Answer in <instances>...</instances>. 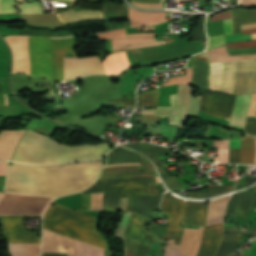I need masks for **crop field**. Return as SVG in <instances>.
I'll use <instances>...</instances> for the list:
<instances>
[{
	"label": "crop field",
	"instance_id": "obj_55",
	"mask_svg": "<svg viewBox=\"0 0 256 256\" xmlns=\"http://www.w3.org/2000/svg\"><path fill=\"white\" fill-rule=\"evenodd\" d=\"M242 234H223L222 240H241Z\"/></svg>",
	"mask_w": 256,
	"mask_h": 256
},
{
	"label": "crop field",
	"instance_id": "obj_60",
	"mask_svg": "<svg viewBox=\"0 0 256 256\" xmlns=\"http://www.w3.org/2000/svg\"><path fill=\"white\" fill-rule=\"evenodd\" d=\"M225 34L233 33L231 19L224 20Z\"/></svg>",
	"mask_w": 256,
	"mask_h": 256
},
{
	"label": "crop field",
	"instance_id": "obj_27",
	"mask_svg": "<svg viewBox=\"0 0 256 256\" xmlns=\"http://www.w3.org/2000/svg\"><path fill=\"white\" fill-rule=\"evenodd\" d=\"M238 9L240 13V17L238 18H236L233 10L230 9V12L233 16L232 22H233L234 33L241 32L240 25L256 23V10L240 9V8Z\"/></svg>",
	"mask_w": 256,
	"mask_h": 256
},
{
	"label": "crop field",
	"instance_id": "obj_67",
	"mask_svg": "<svg viewBox=\"0 0 256 256\" xmlns=\"http://www.w3.org/2000/svg\"><path fill=\"white\" fill-rule=\"evenodd\" d=\"M124 165H141L140 163H129V164H116V165H106L104 168L111 166H124Z\"/></svg>",
	"mask_w": 256,
	"mask_h": 256
},
{
	"label": "crop field",
	"instance_id": "obj_50",
	"mask_svg": "<svg viewBox=\"0 0 256 256\" xmlns=\"http://www.w3.org/2000/svg\"><path fill=\"white\" fill-rule=\"evenodd\" d=\"M140 161L142 162L144 172H156L153 164H151L147 159L139 156Z\"/></svg>",
	"mask_w": 256,
	"mask_h": 256
},
{
	"label": "crop field",
	"instance_id": "obj_2",
	"mask_svg": "<svg viewBox=\"0 0 256 256\" xmlns=\"http://www.w3.org/2000/svg\"><path fill=\"white\" fill-rule=\"evenodd\" d=\"M103 165L63 169L61 164L9 166L6 191L62 196L84 190Z\"/></svg>",
	"mask_w": 256,
	"mask_h": 256
},
{
	"label": "crop field",
	"instance_id": "obj_62",
	"mask_svg": "<svg viewBox=\"0 0 256 256\" xmlns=\"http://www.w3.org/2000/svg\"><path fill=\"white\" fill-rule=\"evenodd\" d=\"M155 36L154 33L127 34V38Z\"/></svg>",
	"mask_w": 256,
	"mask_h": 256
},
{
	"label": "crop field",
	"instance_id": "obj_76",
	"mask_svg": "<svg viewBox=\"0 0 256 256\" xmlns=\"http://www.w3.org/2000/svg\"><path fill=\"white\" fill-rule=\"evenodd\" d=\"M181 1H187V0H179V2H181Z\"/></svg>",
	"mask_w": 256,
	"mask_h": 256
},
{
	"label": "crop field",
	"instance_id": "obj_5",
	"mask_svg": "<svg viewBox=\"0 0 256 256\" xmlns=\"http://www.w3.org/2000/svg\"><path fill=\"white\" fill-rule=\"evenodd\" d=\"M210 88L235 94L256 91V60L212 65Z\"/></svg>",
	"mask_w": 256,
	"mask_h": 256
},
{
	"label": "crop field",
	"instance_id": "obj_53",
	"mask_svg": "<svg viewBox=\"0 0 256 256\" xmlns=\"http://www.w3.org/2000/svg\"><path fill=\"white\" fill-rule=\"evenodd\" d=\"M256 113V93L252 94V101L247 116H255Z\"/></svg>",
	"mask_w": 256,
	"mask_h": 256
},
{
	"label": "crop field",
	"instance_id": "obj_29",
	"mask_svg": "<svg viewBox=\"0 0 256 256\" xmlns=\"http://www.w3.org/2000/svg\"><path fill=\"white\" fill-rule=\"evenodd\" d=\"M40 244H9L11 256H39Z\"/></svg>",
	"mask_w": 256,
	"mask_h": 256
},
{
	"label": "crop field",
	"instance_id": "obj_69",
	"mask_svg": "<svg viewBox=\"0 0 256 256\" xmlns=\"http://www.w3.org/2000/svg\"><path fill=\"white\" fill-rule=\"evenodd\" d=\"M230 55H238V54H256V52H238V53H229Z\"/></svg>",
	"mask_w": 256,
	"mask_h": 256
},
{
	"label": "crop field",
	"instance_id": "obj_54",
	"mask_svg": "<svg viewBox=\"0 0 256 256\" xmlns=\"http://www.w3.org/2000/svg\"><path fill=\"white\" fill-rule=\"evenodd\" d=\"M7 101H6L5 93H4V90H3L2 82L0 81V106H8L9 102H8V105H7Z\"/></svg>",
	"mask_w": 256,
	"mask_h": 256
},
{
	"label": "crop field",
	"instance_id": "obj_65",
	"mask_svg": "<svg viewBox=\"0 0 256 256\" xmlns=\"http://www.w3.org/2000/svg\"><path fill=\"white\" fill-rule=\"evenodd\" d=\"M6 161L0 160V175H5Z\"/></svg>",
	"mask_w": 256,
	"mask_h": 256
},
{
	"label": "crop field",
	"instance_id": "obj_52",
	"mask_svg": "<svg viewBox=\"0 0 256 256\" xmlns=\"http://www.w3.org/2000/svg\"><path fill=\"white\" fill-rule=\"evenodd\" d=\"M168 83H161V86L173 85V84H185V77L173 79V77L167 78Z\"/></svg>",
	"mask_w": 256,
	"mask_h": 256
},
{
	"label": "crop field",
	"instance_id": "obj_20",
	"mask_svg": "<svg viewBox=\"0 0 256 256\" xmlns=\"http://www.w3.org/2000/svg\"><path fill=\"white\" fill-rule=\"evenodd\" d=\"M102 65L105 74H117L130 66L124 51L108 55L102 61Z\"/></svg>",
	"mask_w": 256,
	"mask_h": 256
},
{
	"label": "crop field",
	"instance_id": "obj_68",
	"mask_svg": "<svg viewBox=\"0 0 256 256\" xmlns=\"http://www.w3.org/2000/svg\"><path fill=\"white\" fill-rule=\"evenodd\" d=\"M5 176H0V191H3Z\"/></svg>",
	"mask_w": 256,
	"mask_h": 256
},
{
	"label": "crop field",
	"instance_id": "obj_58",
	"mask_svg": "<svg viewBox=\"0 0 256 256\" xmlns=\"http://www.w3.org/2000/svg\"><path fill=\"white\" fill-rule=\"evenodd\" d=\"M183 229H184V226H182L181 223H180V225L178 227V230H177V234H176L174 244L180 245V240H181V236H182V233H183Z\"/></svg>",
	"mask_w": 256,
	"mask_h": 256
},
{
	"label": "crop field",
	"instance_id": "obj_47",
	"mask_svg": "<svg viewBox=\"0 0 256 256\" xmlns=\"http://www.w3.org/2000/svg\"><path fill=\"white\" fill-rule=\"evenodd\" d=\"M227 45L229 46V49L242 47H256V40L241 43H229Z\"/></svg>",
	"mask_w": 256,
	"mask_h": 256
},
{
	"label": "crop field",
	"instance_id": "obj_31",
	"mask_svg": "<svg viewBox=\"0 0 256 256\" xmlns=\"http://www.w3.org/2000/svg\"><path fill=\"white\" fill-rule=\"evenodd\" d=\"M231 190H232V186H229V185H210L208 191L189 193L188 197L207 198V197L221 195V194L230 192Z\"/></svg>",
	"mask_w": 256,
	"mask_h": 256
},
{
	"label": "crop field",
	"instance_id": "obj_13",
	"mask_svg": "<svg viewBox=\"0 0 256 256\" xmlns=\"http://www.w3.org/2000/svg\"><path fill=\"white\" fill-rule=\"evenodd\" d=\"M184 203L185 201L183 199L176 198L169 193H165V196L161 202L162 212L168 214V222L164 239L175 238Z\"/></svg>",
	"mask_w": 256,
	"mask_h": 256
},
{
	"label": "crop field",
	"instance_id": "obj_44",
	"mask_svg": "<svg viewBox=\"0 0 256 256\" xmlns=\"http://www.w3.org/2000/svg\"><path fill=\"white\" fill-rule=\"evenodd\" d=\"M103 193L91 194V209L102 210Z\"/></svg>",
	"mask_w": 256,
	"mask_h": 256
},
{
	"label": "crop field",
	"instance_id": "obj_48",
	"mask_svg": "<svg viewBox=\"0 0 256 256\" xmlns=\"http://www.w3.org/2000/svg\"><path fill=\"white\" fill-rule=\"evenodd\" d=\"M240 160V149L229 150V163H239Z\"/></svg>",
	"mask_w": 256,
	"mask_h": 256
},
{
	"label": "crop field",
	"instance_id": "obj_39",
	"mask_svg": "<svg viewBox=\"0 0 256 256\" xmlns=\"http://www.w3.org/2000/svg\"><path fill=\"white\" fill-rule=\"evenodd\" d=\"M238 241H222L221 242V251L218 256H229L230 254L234 253Z\"/></svg>",
	"mask_w": 256,
	"mask_h": 256
},
{
	"label": "crop field",
	"instance_id": "obj_32",
	"mask_svg": "<svg viewBox=\"0 0 256 256\" xmlns=\"http://www.w3.org/2000/svg\"><path fill=\"white\" fill-rule=\"evenodd\" d=\"M130 213H125L123 219H122V222L120 224V227L116 233V237H122L123 233H124V230L127 226V223H128V220L130 218ZM126 243H127V256H135V253L138 249V246H139V242H136V241H133V240H130V239H127L126 238Z\"/></svg>",
	"mask_w": 256,
	"mask_h": 256
},
{
	"label": "crop field",
	"instance_id": "obj_14",
	"mask_svg": "<svg viewBox=\"0 0 256 256\" xmlns=\"http://www.w3.org/2000/svg\"><path fill=\"white\" fill-rule=\"evenodd\" d=\"M10 230L12 231L17 243H40V238L30 233L22 226L21 217L5 218ZM4 218H0L3 227V233L8 239V243H16L11 231L9 230Z\"/></svg>",
	"mask_w": 256,
	"mask_h": 256
},
{
	"label": "crop field",
	"instance_id": "obj_57",
	"mask_svg": "<svg viewBox=\"0 0 256 256\" xmlns=\"http://www.w3.org/2000/svg\"><path fill=\"white\" fill-rule=\"evenodd\" d=\"M230 17H231V15L228 11V12H224V13L215 15L214 17H212L211 21H218V20H222V19H226V18H230Z\"/></svg>",
	"mask_w": 256,
	"mask_h": 256
},
{
	"label": "crop field",
	"instance_id": "obj_26",
	"mask_svg": "<svg viewBox=\"0 0 256 256\" xmlns=\"http://www.w3.org/2000/svg\"><path fill=\"white\" fill-rule=\"evenodd\" d=\"M152 40H156V39L155 38L118 39V40H111V43H112V46H117V45H125L130 43L152 41ZM161 44H165L164 41H153V42H146V43L130 44L125 46L112 47V49L113 51H116V50H122V49L161 45Z\"/></svg>",
	"mask_w": 256,
	"mask_h": 256
},
{
	"label": "crop field",
	"instance_id": "obj_10",
	"mask_svg": "<svg viewBox=\"0 0 256 256\" xmlns=\"http://www.w3.org/2000/svg\"><path fill=\"white\" fill-rule=\"evenodd\" d=\"M235 96L218 91H204L201 110L230 119Z\"/></svg>",
	"mask_w": 256,
	"mask_h": 256
},
{
	"label": "crop field",
	"instance_id": "obj_42",
	"mask_svg": "<svg viewBox=\"0 0 256 256\" xmlns=\"http://www.w3.org/2000/svg\"><path fill=\"white\" fill-rule=\"evenodd\" d=\"M21 13H42L38 1L19 5Z\"/></svg>",
	"mask_w": 256,
	"mask_h": 256
},
{
	"label": "crop field",
	"instance_id": "obj_28",
	"mask_svg": "<svg viewBox=\"0 0 256 256\" xmlns=\"http://www.w3.org/2000/svg\"><path fill=\"white\" fill-rule=\"evenodd\" d=\"M255 158L254 137L246 135L241 137V161L240 163L251 164Z\"/></svg>",
	"mask_w": 256,
	"mask_h": 256
},
{
	"label": "crop field",
	"instance_id": "obj_64",
	"mask_svg": "<svg viewBox=\"0 0 256 256\" xmlns=\"http://www.w3.org/2000/svg\"><path fill=\"white\" fill-rule=\"evenodd\" d=\"M128 198L120 199L119 210L126 211L125 206Z\"/></svg>",
	"mask_w": 256,
	"mask_h": 256
},
{
	"label": "crop field",
	"instance_id": "obj_7",
	"mask_svg": "<svg viewBox=\"0 0 256 256\" xmlns=\"http://www.w3.org/2000/svg\"><path fill=\"white\" fill-rule=\"evenodd\" d=\"M194 89L188 85H179L177 94L170 95L172 107H157L154 110H141L142 115L155 114L169 116L170 124L184 126L186 118L197 115L201 97H192Z\"/></svg>",
	"mask_w": 256,
	"mask_h": 256
},
{
	"label": "crop field",
	"instance_id": "obj_34",
	"mask_svg": "<svg viewBox=\"0 0 256 256\" xmlns=\"http://www.w3.org/2000/svg\"><path fill=\"white\" fill-rule=\"evenodd\" d=\"M124 146L132 147L140 152H146V153L166 154L168 151V148L149 144V143L128 144V145H124Z\"/></svg>",
	"mask_w": 256,
	"mask_h": 256
},
{
	"label": "crop field",
	"instance_id": "obj_70",
	"mask_svg": "<svg viewBox=\"0 0 256 256\" xmlns=\"http://www.w3.org/2000/svg\"><path fill=\"white\" fill-rule=\"evenodd\" d=\"M255 191H256V189H255ZM254 194H255V193H254ZM251 209H256V194H255V196H254Z\"/></svg>",
	"mask_w": 256,
	"mask_h": 256
},
{
	"label": "crop field",
	"instance_id": "obj_19",
	"mask_svg": "<svg viewBox=\"0 0 256 256\" xmlns=\"http://www.w3.org/2000/svg\"><path fill=\"white\" fill-rule=\"evenodd\" d=\"M252 194L253 193L233 194L232 200L228 202L226 214L247 216Z\"/></svg>",
	"mask_w": 256,
	"mask_h": 256
},
{
	"label": "crop field",
	"instance_id": "obj_6",
	"mask_svg": "<svg viewBox=\"0 0 256 256\" xmlns=\"http://www.w3.org/2000/svg\"><path fill=\"white\" fill-rule=\"evenodd\" d=\"M107 19H129L130 8L106 6ZM165 12H139L131 9V26L153 25L165 21ZM60 18L67 24L73 21H79L90 18L104 19L103 13L99 12H78L73 11L60 13Z\"/></svg>",
	"mask_w": 256,
	"mask_h": 256
},
{
	"label": "crop field",
	"instance_id": "obj_63",
	"mask_svg": "<svg viewBox=\"0 0 256 256\" xmlns=\"http://www.w3.org/2000/svg\"><path fill=\"white\" fill-rule=\"evenodd\" d=\"M41 256H68V253H42Z\"/></svg>",
	"mask_w": 256,
	"mask_h": 256
},
{
	"label": "crop field",
	"instance_id": "obj_3",
	"mask_svg": "<svg viewBox=\"0 0 256 256\" xmlns=\"http://www.w3.org/2000/svg\"><path fill=\"white\" fill-rule=\"evenodd\" d=\"M97 217L55 200L44 215V228L108 250L95 229ZM43 228L42 252H68L67 237Z\"/></svg>",
	"mask_w": 256,
	"mask_h": 256
},
{
	"label": "crop field",
	"instance_id": "obj_75",
	"mask_svg": "<svg viewBox=\"0 0 256 256\" xmlns=\"http://www.w3.org/2000/svg\"><path fill=\"white\" fill-rule=\"evenodd\" d=\"M252 39H256V33L252 34Z\"/></svg>",
	"mask_w": 256,
	"mask_h": 256
},
{
	"label": "crop field",
	"instance_id": "obj_21",
	"mask_svg": "<svg viewBox=\"0 0 256 256\" xmlns=\"http://www.w3.org/2000/svg\"><path fill=\"white\" fill-rule=\"evenodd\" d=\"M250 100L251 94L237 96V102L229 125L243 128Z\"/></svg>",
	"mask_w": 256,
	"mask_h": 256
},
{
	"label": "crop field",
	"instance_id": "obj_61",
	"mask_svg": "<svg viewBox=\"0 0 256 256\" xmlns=\"http://www.w3.org/2000/svg\"><path fill=\"white\" fill-rule=\"evenodd\" d=\"M242 30H246V29H254L256 28V24H251V25H244L241 26ZM256 29L254 30H246V31H242V34H247V33H255Z\"/></svg>",
	"mask_w": 256,
	"mask_h": 256
},
{
	"label": "crop field",
	"instance_id": "obj_71",
	"mask_svg": "<svg viewBox=\"0 0 256 256\" xmlns=\"http://www.w3.org/2000/svg\"><path fill=\"white\" fill-rule=\"evenodd\" d=\"M58 1H62V2H66V3L73 4V2H74L75 0H58Z\"/></svg>",
	"mask_w": 256,
	"mask_h": 256
},
{
	"label": "crop field",
	"instance_id": "obj_8",
	"mask_svg": "<svg viewBox=\"0 0 256 256\" xmlns=\"http://www.w3.org/2000/svg\"><path fill=\"white\" fill-rule=\"evenodd\" d=\"M155 179L157 183L161 182L159 177H155ZM155 179L154 177H146L97 180L92 187L82 191V194L122 190L121 197H129L127 210L131 212L130 207L134 194L153 195L146 185L155 184Z\"/></svg>",
	"mask_w": 256,
	"mask_h": 256
},
{
	"label": "crop field",
	"instance_id": "obj_49",
	"mask_svg": "<svg viewBox=\"0 0 256 256\" xmlns=\"http://www.w3.org/2000/svg\"><path fill=\"white\" fill-rule=\"evenodd\" d=\"M245 129L251 135L256 134V119H247Z\"/></svg>",
	"mask_w": 256,
	"mask_h": 256
},
{
	"label": "crop field",
	"instance_id": "obj_35",
	"mask_svg": "<svg viewBox=\"0 0 256 256\" xmlns=\"http://www.w3.org/2000/svg\"><path fill=\"white\" fill-rule=\"evenodd\" d=\"M121 192L104 193L103 210H118Z\"/></svg>",
	"mask_w": 256,
	"mask_h": 256
},
{
	"label": "crop field",
	"instance_id": "obj_66",
	"mask_svg": "<svg viewBox=\"0 0 256 256\" xmlns=\"http://www.w3.org/2000/svg\"><path fill=\"white\" fill-rule=\"evenodd\" d=\"M240 4H255L256 5V0H241Z\"/></svg>",
	"mask_w": 256,
	"mask_h": 256
},
{
	"label": "crop field",
	"instance_id": "obj_11",
	"mask_svg": "<svg viewBox=\"0 0 256 256\" xmlns=\"http://www.w3.org/2000/svg\"><path fill=\"white\" fill-rule=\"evenodd\" d=\"M204 227L199 229L185 228L181 246L173 245L174 240H168L165 256H196Z\"/></svg>",
	"mask_w": 256,
	"mask_h": 256
},
{
	"label": "crop field",
	"instance_id": "obj_46",
	"mask_svg": "<svg viewBox=\"0 0 256 256\" xmlns=\"http://www.w3.org/2000/svg\"><path fill=\"white\" fill-rule=\"evenodd\" d=\"M224 43H225L224 35L209 37L208 49L222 45Z\"/></svg>",
	"mask_w": 256,
	"mask_h": 256
},
{
	"label": "crop field",
	"instance_id": "obj_77",
	"mask_svg": "<svg viewBox=\"0 0 256 256\" xmlns=\"http://www.w3.org/2000/svg\"><path fill=\"white\" fill-rule=\"evenodd\" d=\"M219 251V250H218ZM217 254H218V252H217ZM217 256V255H216Z\"/></svg>",
	"mask_w": 256,
	"mask_h": 256
},
{
	"label": "crop field",
	"instance_id": "obj_12",
	"mask_svg": "<svg viewBox=\"0 0 256 256\" xmlns=\"http://www.w3.org/2000/svg\"><path fill=\"white\" fill-rule=\"evenodd\" d=\"M147 219L131 215L124 237L141 242L136 256H146L154 240V236L145 232Z\"/></svg>",
	"mask_w": 256,
	"mask_h": 256
},
{
	"label": "crop field",
	"instance_id": "obj_74",
	"mask_svg": "<svg viewBox=\"0 0 256 256\" xmlns=\"http://www.w3.org/2000/svg\"><path fill=\"white\" fill-rule=\"evenodd\" d=\"M224 233H251V232H224Z\"/></svg>",
	"mask_w": 256,
	"mask_h": 256
},
{
	"label": "crop field",
	"instance_id": "obj_25",
	"mask_svg": "<svg viewBox=\"0 0 256 256\" xmlns=\"http://www.w3.org/2000/svg\"><path fill=\"white\" fill-rule=\"evenodd\" d=\"M160 200L161 198L137 197L133 212L148 219L152 211L159 209Z\"/></svg>",
	"mask_w": 256,
	"mask_h": 256
},
{
	"label": "crop field",
	"instance_id": "obj_17",
	"mask_svg": "<svg viewBox=\"0 0 256 256\" xmlns=\"http://www.w3.org/2000/svg\"><path fill=\"white\" fill-rule=\"evenodd\" d=\"M208 205L205 201H187L181 222L189 225H205Z\"/></svg>",
	"mask_w": 256,
	"mask_h": 256
},
{
	"label": "crop field",
	"instance_id": "obj_33",
	"mask_svg": "<svg viewBox=\"0 0 256 256\" xmlns=\"http://www.w3.org/2000/svg\"><path fill=\"white\" fill-rule=\"evenodd\" d=\"M229 140H214V147L218 149V157H214L213 163H228Z\"/></svg>",
	"mask_w": 256,
	"mask_h": 256
},
{
	"label": "crop field",
	"instance_id": "obj_56",
	"mask_svg": "<svg viewBox=\"0 0 256 256\" xmlns=\"http://www.w3.org/2000/svg\"><path fill=\"white\" fill-rule=\"evenodd\" d=\"M97 164H102V162L76 163V164H70V165H63V167L68 168V167H78V166L97 165Z\"/></svg>",
	"mask_w": 256,
	"mask_h": 256
},
{
	"label": "crop field",
	"instance_id": "obj_9",
	"mask_svg": "<svg viewBox=\"0 0 256 256\" xmlns=\"http://www.w3.org/2000/svg\"><path fill=\"white\" fill-rule=\"evenodd\" d=\"M4 192H0V199ZM51 197L5 193L0 200V215L42 216Z\"/></svg>",
	"mask_w": 256,
	"mask_h": 256
},
{
	"label": "crop field",
	"instance_id": "obj_51",
	"mask_svg": "<svg viewBox=\"0 0 256 256\" xmlns=\"http://www.w3.org/2000/svg\"><path fill=\"white\" fill-rule=\"evenodd\" d=\"M134 105V100H114L109 101V106H126Z\"/></svg>",
	"mask_w": 256,
	"mask_h": 256
},
{
	"label": "crop field",
	"instance_id": "obj_36",
	"mask_svg": "<svg viewBox=\"0 0 256 256\" xmlns=\"http://www.w3.org/2000/svg\"><path fill=\"white\" fill-rule=\"evenodd\" d=\"M158 89L139 93V106L155 105L158 97Z\"/></svg>",
	"mask_w": 256,
	"mask_h": 256
},
{
	"label": "crop field",
	"instance_id": "obj_37",
	"mask_svg": "<svg viewBox=\"0 0 256 256\" xmlns=\"http://www.w3.org/2000/svg\"><path fill=\"white\" fill-rule=\"evenodd\" d=\"M218 52V55L221 59L222 62H226V61H234V60H240V59H250V58H256V55H238V56H229L227 51H226V47H220L216 49ZM220 61H215V62H211V63H217Z\"/></svg>",
	"mask_w": 256,
	"mask_h": 256
},
{
	"label": "crop field",
	"instance_id": "obj_23",
	"mask_svg": "<svg viewBox=\"0 0 256 256\" xmlns=\"http://www.w3.org/2000/svg\"><path fill=\"white\" fill-rule=\"evenodd\" d=\"M157 176V174H142L141 167H118L103 169L99 178Z\"/></svg>",
	"mask_w": 256,
	"mask_h": 256
},
{
	"label": "crop field",
	"instance_id": "obj_4",
	"mask_svg": "<svg viewBox=\"0 0 256 256\" xmlns=\"http://www.w3.org/2000/svg\"><path fill=\"white\" fill-rule=\"evenodd\" d=\"M108 144L71 147L27 130L16 148L12 160L33 164H51L78 160H95L110 150Z\"/></svg>",
	"mask_w": 256,
	"mask_h": 256
},
{
	"label": "crop field",
	"instance_id": "obj_43",
	"mask_svg": "<svg viewBox=\"0 0 256 256\" xmlns=\"http://www.w3.org/2000/svg\"><path fill=\"white\" fill-rule=\"evenodd\" d=\"M22 1V0H14ZM14 13L13 0H0V14Z\"/></svg>",
	"mask_w": 256,
	"mask_h": 256
},
{
	"label": "crop field",
	"instance_id": "obj_73",
	"mask_svg": "<svg viewBox=\"0 0 256 256\" xmlns=\"http://www.w3.org/2000/svg\"><path fill=\"white\" fill-rule=\"evenodd\" d=\"M233 10H234V12H235L236 16L238 17V16H239V13H238L237 8H235V9H233Z\"/></svg>",
	"mask_w": 256,
	"mask_h": 256
},
{
	"label": "crop field",
	"instance_id": "obj_30",
	"mask_svg": "<svg viewBox=\"0 0 256 256\" xmlns=\"http://www.w3.org/2000/svg\"><path fill=\"white\" fill-rule=\"evenodd\" d=\"M128 162H139L138 156L130 152H125L121 150L119 147H116L114 151L108 154L107 164L128 163Z\"/></svg>",
	"mask_w": 256,
	"mask_h": 256
},
{
	"label": "crop field",
	"instance_id": "obj_40",
	"mask_svg": "<svg viewBox=\"0 0 256 256\" xmlns=\"http://www.w3.org/2000/svg\"><path fill=\"white\" fill-rule=\"evenodd\" d=\"M130 2L141 8H160L161 0H130Z\"/></svg>",
	"mask_w": 256,
	"mask_h": 256
},
{
	"label": "crop field",
	"instance_id": "obj_45",
	"mask_svg": "<svg viewBox=\"0 0 256 256\" xmlns=\"http://www.w3.org/2000/svg\"><path fill=\"white\" fill-rule=\"evenodd\" d=\"M167 187L171 190H182V186L177 182L175 177H163Z\"/></svg>",
	"mask_w": 256,
	"mask_h": 256
},
{
	"label": "crop field",
	"instance_id": "obj_78",
	"mask_svg": "<svg viewBox=\"0 0 256 256\" xmlns=\"http://www.w3.org/2000/svg\"><path fill=\"white\" fill-rule=\"evenodd\" d=\"M255 165H256V162H255Z\"/></svg>",
	"mask_w": 256,
	"mask_h": 256
},
{
	"label": "crop field",
	"instance_id": "obj_59",
	"mask_svg": "<svg viewBox=\"0 0 256 256\" xmlns=\"http://www.w3.org/2000/svg\"><path fill=\"white\" fill-rule=\"evenodd\" d=\"M82 208H90V195L81 196Z\"/></svg>",
	"mask_w": 256,
	"mask_h": 256
},
{
	"label": "crop field",
	"instance_id": "obj_41",
	"mask_svg": "<svg viewBox=\"0 0 256 256\" xmlns=\"http://www.w3.org/2000/svg\"><path fill=\"white\" fill-rule=\"evenodd\" d=\"M96 37L99 39L126 38V33L125 29H121L116 31L98 33L96 34Z\"/></svg>",
	"mask_w": 256,
	"mask_h": 256
},
{
	"label": "crop field",
	"instance_id": "obj_22",
	"mask_svg": "<svg viewBox=\"0 0 256 256\" xmlns=\"http://www.w3.org/2000/svg\"><path fill=\"white\" fill-rule=\"evenodd\" d=\"M230 196L231 194L210 201L206 226L222 223L226 203L229 201Z\"/></svg>",
	"mask_w": 256,
	"mask_h": 256
},
{
	"label": "crop field",
	"instance_id": "obj_72",
	"mask_svg": "<svg viewBox=\"0 0 256 256\" xmlns=\"http://www.w3.org/2000/svg\"><path fill=\"white\" fill-rule=\"evenodd\" d=\"M154 29V27H150V28H141V29H137L138 31H142V30H151Z\"/></svg>",
	"mask_w": 256,
	"mask_h": 256
},
{
	"label": "crop field",
	"instance_id": "obj_24",
	"mask_svg": "<svg viewBox=\"0 0 256 256\" xmlns=\"http://www.w3.org/2000/svg\"><path fill=\"white\" fill-rule=\"evenodd\" d=\"M69 256H103V250L68 237Z\"/></svg>",
	"mask_w": 256,
	"mask_h": 256
},
{
	"label": "crop field",
	"instance_id": "obj_38",
	"mask_svg": "<svg viewBox=\"0 0 256 256\" xmlns=\"http://www.w3.org/2000/svg\"><path fill=\"white\" fill-rule=\"evenodd\" d=\"M204 19L205 16H201L198 25L196 26L193 35H192V42L198 40H206V35L204 32Z\"/></svg>",
	"mask_w": 256,
	"mask_h": 256
},
{
	"label": "crop field",
	"instance_id": "obj_15",
	"mask_svg": "<svg viewBox=\"0 0 256 256\" xmlns=\"http://www.w3.org/2000/svg\"><path fill=\"white\" fill-rule=\"evenodd\" d=\"M193 69L192 85L199 89H208L209 62L205 53H199L191 57Z\"/></svg>",
	"mask_w": 256,
	"mask_h": 256
},
{
	"label": "crop field",
	"instance_id": "obj_16",
	"mask_svg": "<svg viewBox=\"0 0 256 256\" xmlns=\"http://www.w3.org/2000/svg\"><path fill=\"white\" fill-rule=\"evenodd\" d=\"M222 225L205 227L197 256H214L222 234Z\"/></svg>",
	"mask_w": 256,
	"mask_h": 256
},
{
	"label": "crop field",
	"instance_id": "obj_1",
	"mask_svg": "<svg viewBox=\"0 0 256 256\" xmlns=\"http://www.w3.org/2000/svg\"><path fill=\"white\" fill-rule=\"evenodd\" d=\"M13 52V73L24 72L33 77L63 80V52L74 51L72 36L51 37L8 36L4 38ZM90 74H104L97 56L64 58V80Z\"/></svg>",
	"mask_w": 256,
	"mask_h": 256
},
{
	"label": "crop field",
	"instance_id": "obj_18",
	"mask_svg": "<svg viewBox=\"0 0 256 256\" xmlns=\"http://www.w3.org/2000/svg\"><path fill=\"white\" fill-rule=\"evenodd\" d=\"M25 130L0 131V159H10Z\"/></svg>",
	"mask_w": 256,
	"mask_h": 256
}]
</instances>
